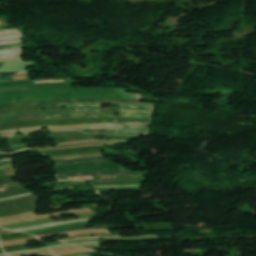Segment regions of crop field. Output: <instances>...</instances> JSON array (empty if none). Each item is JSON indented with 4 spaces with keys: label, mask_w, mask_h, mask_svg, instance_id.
Here are the masks:
<instances>
[{
    "label": "crop field",
    "mask_w": 256,
    "mask_h": 256,
    "mask_svg": "<svg viewBox=\"0 0 256 256\" xmlns=\"http://www.w3.org/2000/svg\"><path fill=\"white\" fill-rule=\"evenodd\" d=\"M10 80H13L12 77L0 78V82H2V81H10Z\"/></svg>",
    "instance_id": "13"
},
{
    "label": "crop field",
    "mask_w": 256,
    "mask_h": 256,
    "mask_svg": "<svg viewBox=\"0 0 256 256\" xmlns=\"http://www.w3.org/2000/svg\"><path fill=\"white\" fill-rule=\"evenodd\" d=\"M125 174V172H99V173H86V174H59L58 177L66 176H92V175H119Z\"/></svg>",
    "instance_id": "7"
},
{
    "label": "crop field",
    "mask_w": 256,
    "mask_h": 256,
    "mask_svg": "<svg viewBox=\"0 0 256 256\" xmlns=\"http://www.w3.org/2000/svg\"><path fill=\"white\" fill-rule=\"evenodd\" d=\"M89 133H112L119 135H136L146 133L147 128L144 129H128V130H82Z\"/></svg>",
    "instance_id": "4"
},
{
    "label": "crop field",
    "mask_w": 256,
    "mask_h": 256,
    "mask_svg": "<svg viewBox=\"0 0 256 256\" xmlns=\"http://www.w3.org/2000/svg\"><path fill=\"white\" fill-rule=\"evenodd\" d=\"M123 171L121 168H108V169H94V170H83V171H57V173H80V172H92V171Z\"/></svg>",
    "instance_id": "9"
},
{
    "label": "crop field",
    "mask_w": 256,
    "mask_h": 256,
    "mask_svg": "<svg viewBox=\"0 0 256 256\" xmlns=\"http://www.w3.org/2000/svg\"><path fill=\"white\" fill-rule=\"evenodd\" d=\"M9 164H12V163H8V164H2V165H0V166H3V165H9Z\"/></svg>",
    "instance_id": "14"
},
{
    "label": "crop field",
    "mask_w": 256,
    "mask_h": 256,
    "mask_svg": "<svg viewBox=\"0 0 256 256\" xmlns=\"http://www.w3.org/2000/svg\"><path fill=\"white\" fill-rule=\"evenodd\" d=\"M18 184H19V182L7 183V184L0 185V188L7 187V186L18 185Z\"/></svg>",
    "instance_id": "12"
},
{
    "label": "crop field",
    "mask_w": 256,
    "mask_h": 256,
    "mask_svg": "<svg viewBox=\"0 0 256 256\" xmlns=\"http://www.w3.org/2000/svg\"><path fill=\"white\" fill-rule=\"evenodd\" d=\"M87 101H132V102H139V100H77V102H87ZM55 102H74V100H71V101H49V102H36V103H25V104L0 105V108H2V107H11V106H19V105H27V104L55 103Z\"/></svg>",
    "instance_id": "6"
},
{
    "label": "crop field",
    "mask_w": 256,
    "mask_h": 256,
    "mask_svg": "<svg viewBox=\"0 0 256 256\" xmlns=\"http://www.w3.org/2000/svg\"><path fill=\"white\" fill-rule=\"evenodd\" d=\"M29 74L28 70H22V71H12V72H0L1 77H8V76H16V75H25Z\"/></svg>",
    "instance_id": "10"
},
{
    "label": "crop field",
    "mask_w": 256,
    "mask_h": 256,
    "mask_svg": "<svg viewBox=\"0 0 256 256\" xmlns=\"http://www.w3.org/2000/svg\"><path fill=\"white\" fill-rule=\"evenodd\" d=\"M82 136H91V135L77 132V131L58 132V133L52 132V138L54 139L74 138V137H82Z\"/></svg>",
    "instance_id": "5"
},
{
    "label": "crop field",
    "mask_w": 256,
    "mask_h": 256,
    "mask_svg": "<svg viewBox=\"0 0 256 256\" xmlns=\"http://www.w3.org/2000/svg\"><path fill=\"white\" fill-rule=\"evenodd\" d=\"M62 99H125L115 88L23 90L0 93V104Z\"/></svg>",
    "instance_id": "1"
},
{
    "label": "crop field",
    "mask_w": 256,
    "mask_h": 256,
    "mask_svg": "<svg viewBox=\"0 0 256 256\" xmlns=\"http://www.w3.org/2000/svg\"><path fill=\"white\" fill-rule=\"evenodd\" d=\"M20 48H22V43L0 45V50H5V49H20Z\"/></svg>",
    "instance_id": "11"
},
{
    "label": "crop field",
    "mask_w": 256,
    "mask_h": 256,
    "mask_svg": "<svg viewBox=\"0 0 256 256\" xmlns=\"http://www.w3.org/2000/svg\"><path fill=\"white\" fill-rule=\"evenodd\" d=\"M91 160H104V161H94V162H84V163H95V162H109L103 158H90V159H80V160H73V161H55L56 165H70V164H60V163H70V162H77V161H91ZM78 164V163H74Z\"/></svg>",
    "instance_id": "8"
},
{
    "label": "crop field",
    "mask_w": 256,
    "mask_h": 256,
    "mask_svg": "<svg viewBox=\"0 0 256 256\" xmlns=\"http://www.w3.org/2000/svg\"><path fill=\"white\" fill-rule=\"evenodd\" d=\"M99 103H111L121 106V110H112V111H121L122 117H148L150 118L151 112L155 108L156 104H148V103H131V102H89V103H56V104H39L34 108L43 107L44 109H56L60 108L62 105L66 106H100ZM72 111H87V112H110V111H94V110H68ZM53 113H61V112H51V113H29V114H53ZM29 114H21V115H12V116H4L0 118L7 117H15Z\"/></svg>",
    "instance_id": "2"
},
{
    "label": "crop field",
    "mask_w": 256,
    "mask_h": 256,
    "mask_svg": "<svg viewBox=\"0 0 256 256\" xmlns=\"http://www.w3.org/2000/svg\"><path fill=\"white\" fill-rule=\"evenodd\" d=\"M149 123H112V124H95L83 125L84 129H125V128H144Z\"/></svg>",
    "instance_id": "3"
}]
</instances>
